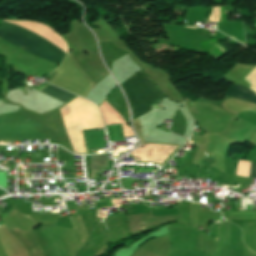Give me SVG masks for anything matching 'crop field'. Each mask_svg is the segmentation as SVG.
Listing matches in <instances>:
<instances>
[{"label": "crop field", "mask_w": 256, "mask_h": 256, "mask_svg": "<svg viewBox=\"0 0 256 256\" xmlns=\"http://www.w3.org/2000/svg\"><path fill=\"white\" fill-rule=\"evenodd\" d=\"M0 37L41 59L55 63L60 64L67 54L39 36L5 22L0 28Z\"/></svg>", "instance_id": "1"}, {"label": "crop field", "mask_w": 256, "mask_h": 256, "mask_svg": "<svg viewBox=\"0 0 256 256\" xmlns=\"http://www.w3.org/2000/svg\"><path fill=\"white\" fill-rule=\"evenodd\" d=\"M120 85L130 102L132 120L150 110V105L162 96L140 71Z\"/></svg>", "instance_id": "2"}, {"label": "crop field", "mask_w": 256, "mask_h": 256, "mask_svg": "<svg viewBox=\"0 0 256 256\" xmlns=\"http://www.w3.org/2000/svg\"><path fill=\"white\" fill-rule=\"evenodd\" d=\"M226 95L234 97V98H238V99H242V100H246V101L256 103V95H255L254 92L246 90V89H244L242 87H239L237 85H234L232 88H230L227 91Z\"/></svg>", "instance_id": "3"}, {"label": "crop field", "mask_w": 256, "mask_h": 256, "mask_svg": "<svg viewBox=\"0 0 256 256\" xmlns=\"http://www.w3.org/2000/svg\"><path fill=\"white\" fill-rule=\"evenodd\" d=\"M40 91L66 103L68 102L70 99H72L75 95L70 94L68 92H65L61 89H58L56 87H53L51 85H48L47 87L41 89Z\"/></svg>", "instance_id": "4"}, {"label": "crop field", "mask_w": 256, "mask_h": 256, "mask_svg": "<svg viewBox=\"0 0 256 256\" xmlns=\"http://www.w3.org/2000/svg\"><path fill=\"white\" fill-rule=\"evenodd\" d=\"M250 162L239 160L238 169L236 175L242 177H248Z\"/></svg>", "instance_id": "5"}, {"label": "crop field", "mask_w": 256, "mask_h": 256, "mask_svg": "<svg viewBox=\"0 0 256 256\" xmlns=\"http://www.w3.org/2000/svg\"><path fill=\"white\" fill-rule=\"evenodd\" d=\"M249 177L256 178V164L251 162V171Z\"/></svg>", "instance_id": "6"}, {"label": "crop field", "mask_w": 256, "mask_h": 256, "mask_svg": "<svg viewBox=\"0 0 256 256\" xmlns=\"http://www.w3.org/2000/svg\"><path fill=\"white\" fill-rule=\"evenodd\" d=\"M114 202H115V205L120 203V200L119 199H114Z\"/></svg>", "instance_id": "7"}, {"label": "crop field", "mask_w": 256, "mask_h": 256, "mask_svg": "<svg viewBox=\"0 0 256 256\" xmlns=\"http://www.w3.org/2000/svg\"><path fill=\"white\" fill-rule=\"evenodd\" d=\"M103 100H104V99H103ZM102 102H103V101H102ZM102 102H101V103H102ZM101 103H100V104H101ZM99 106H100V105H99ZM99 106H98V107H99Z\"/></svg>", "instance_id": "8"}, {"label": "crop field", "mask_w": 256, "mask_h": 256, "mask_svg": "<svg viewBox=\"0 0 256 256\" xmlns=\"http://www.w3.org/2000/svg\"><path fill=\"white\" fill-rule=\"evenodd\" d=\"M0 224H3V222H1Z\"/></svg>", "instance_id": "9"}, {"label": "crop field", "mask_w": 256, "mask_h": 256, "mask_svg": "<svg viewBox=\"0 0 256 256\" xmlns=\"http://www.w3.org/2000/svg\"><path fill=\"white\" fill-rule=\"evenodd\" d=\"M188 27V26H187ZM194 28V27H193Z\"/></svg>", "instance_id": "10"}]
</instances>
